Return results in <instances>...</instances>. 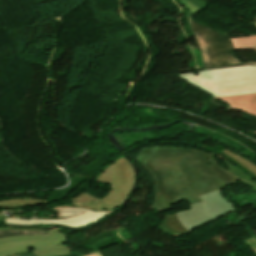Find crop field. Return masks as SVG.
<instances>
[{"mask_svg": "<svg viewBox=\"0 0 256 256\" xmlns=\"http://www.w3.org/2000/svg\"><path fill=\"white\" fill-rule=\"evenodd\" d=\"M136 161L154 179L155 201L150 208L159 212L172 209L173 204L181 201L202 202L198 196L239 179L256 192V181L216 153L155 147L140 150Z\"/></svg>", "mask_w": 256, "mask_h": 256, "instance_id": "8a807250", "label": "crop field"}, {"mask_svg": "<svg viewBox=\"0 0 256 256\" xmlns=\"http://www.w3.org/2000/svg\"><path fill=\"white\" fill-rule=\"evenodd\" d=\"M202 203L189 205L191 209L171 215H164L158 229L175 237H180L192 230L207 225L219 218L237 210L220 190L200 196Z\"/></svg>", "mask_w": 256, "mask_h": 256, "instance_id": "ac0d7876", "label": "crop field"}, {"mask_svg": "<svg viewBox=\"0 0 256 256\" xmlns=\"http://www.w3.org/2000/svg\"><path fill=\"white\" fill-rule=\"evenodd\" d=\"M178 74L211 96L256 93V65Z\"/></svg>", "mask_w": 256, "mask_h": 256, "instance_id": "34b2d1b8", "label": "crop field"}, {"mask_svg": "<svg viewBox=\"0 0 256 256\" xmlns=\"http://www.w3.org/2000/svg\"><path fill=\"white\" fill-rule=\"evenodd\" d=\"M95 181L112 186L111 193L99 201L96 197L85 191L70 198L73 201L72 206L86 207L89 209H111L121 205L131 191L135 180V171L125 157L119 158L111 163Z\"/></svg>", "mask_w": 256, "mask_h": 256, "instance_id": "412701ff", "label": "crop field"}, {"mask_svg": "<svg viewBox=\"0 0 256 256\" xmlns=\"http://www.w3.org/2000/svg\"><path fill=\"white\" fill-rule=\"evenodd\" d=\"M199 47L204 70L253 65L256 62H241L234 53V48L227 33L211 29L188 15Z\"/></svg>", "mask_w": 256, "mask_h": 256, "instance_id": "f4fd0767", "label": "crop field"}, {"mask_svg": "<svg viewBox=\"0 0 256 256\" xmlns=\"http://www.w3.org/2000/svg\"><path fill=\"white\" fill-rule=\"evenodd\" d=\"M65 230L55 228L49 235L19 236L0 239V256H12L34 252L36 256H66L71 249L65 238Z\"/></svg>", "mask_w": 256, "mask_h": 256, "instance_id": "dd49c442", "label": "crop field"}, {"mask_svg": "<svg viewBox=\"0 0 256 256\" xmlns=\"http://www.w3.org/2000/svg\"><path fill=\"white\" fill-rule=\"evenodd\" d=\"M56 211V219H19V218H6L5 224H18V225H34V224H57L69 227H81L87 224L94 223L104 216L110 214L112 210H99L90 211L86 208L65 206L54 207Z\"/></svg>", "mask_w": 256, "mask_h": 256, "instance_id": "e52e79f7", "label": "crop field"}, {"mask_svg": "<svg viewBox=\"0 0 256 256\" xmlns=\"http://www.w3.org/2000/svg\"><path fill=\"white\" fill-rule=\"evenodd\" d=\"M213 98L226 102L233 109H240L244 112L256 115V94L221 96Z\"/></svg>", "mask_w": 256, "mask_h": 256, "instance_id": "d8731c3e", "label": "crop field"}, {"mask_svg": "<svg viewBox=\"0 0 256 256\" xmlns=\"http://www.w3.org/2000/svg\"><path fill=\"white\" fill-rule=\"evenodd\" d=\"M51 201H46L37 198H12V199H2L0 200V209H12V208H22L30 207L38 204H44Z\"/></svg>", "mask_w": 256, "mask_h": 256, "instance_id": "5a996713", "label": "crop field"}, {"mask_svg": "<svg viewBox=\"0 0 256 256\" xmlns=\"http://www.w3.org/2000/svg\"><path fill=\"white\" fill-rule=\"evenodd\" d=\"M235 50L255 49L256 36L231 39Z\"/></svg>", "mask_w": 256, "mask_h": 256, "instance_id": "3316defc", "label": "crop field"}, {"mask_svg": "<svg viewBox=\"0 0 256 256\" xmlns=\"http://www.w3.org/2000/svg\"><path fill=\"white\" fill-rule=\"evenodd\" d=\"M222 152L256 176V165L255 164L237 156L236 154L232 153L229 150L224 149Z\"/></svg>", "mask_w": 256, "mask_h": 256, "instance_id": "28ad6ade", "label": "crop field"}, {"mask_svg": "<svg viewBox=\"0 0 256 256\" xmlns=\"http://www.w3.org/2000/svg\"><path fill=\"white\" fill-rule=\"evenodd\" d=\"M33 234H47V232L0 231V238L19 236V235H33Z\"/></svg>", "mask_w": 256, "mask_h": 256, "instance_id": "d1516ede", "label": "crop field"}, {"mask_svg": "<svg viewBox=\"0 0 256 256\" xmlns=\"http://www.w3.org/2000/svg\"><path fill=\"white\" fill-rule=\"evenodd\" d=\"M177 1L180 4H182L186 9H188L191 12L192 15L201 11L196 6H194L192 3H190L188 0H177Z\"/></svg>", "mask_w": 256, "mask_h": 256, "instance_id": "22f410ed", "label": "crop field"}, {"mask_svg": "<svg viewBox=\"0 0 256 256\" xmlns=\"http://www.w3.org/2000/svg\"><path fill=\"white\" fill-rule=\"evenodd\" d=\"M189 1L192 2L194 5H196L198 8H200L201 10L206 8L208 4L202 0H189Z\"/></svg>", "mask_w": 256, "mask_h": 256, "instance_id": "cbeb9de0", "label": "crop field"}, {"mask_svg": "<svg viewBox=\"0 0 256 256\" xmlns=\"http://www.w3.org/2000/svg\"><path fill=\"white\" fill-rule=\"evenodd\" d=\"M0 230H30V231H43L39 229H26V228H0ZM48 231V230H47Z\"/></svg>", "mask_w": 256, "mask_h": 256, "instance_id": "5142ce71", "label": "crop field"}, {"mask_svg": "<svg viewBox=\"0 0 256 256\" xmlns=\"http://www.w3.org/2000/svg\"><path fill=\"white\" fill-rule=\"evenodd\" d=\"M88 256H102V255H101V253H99V252H96V253H93V254H91V255H88Z\"/></svg>", "mask_w": 256, "mask_h": 256, "instance_id": "d9b57169", "label": "crop field"}, {"mask_svg": "<svg viewBox=\"0 0 256 256\" xmlns=\"http://www.w3.org/2000/svg\"><path fill=\"white\" fill-rule=\"evenodd\" d=\"M16 256H34L33 253H29V254H21V255H16Z\"/></svg>", "mask_w": 256, "mask_h": 256, "instance_id": "733c2abd", "label": "crop field"}, {"mask_svg": "<svg viewBox=\"0 0 256 256\" xmlns=\"http://www.w3.org/2000/svg\"><path fill=\"white\" fill-rule=\"evenodd\" d=\"M256 47V46H255Z\"/></svg>", "mask_w": 256, "mask_h": 256, "instance_id": "4a817a6b", "label": "crop field"}]
</instances>
